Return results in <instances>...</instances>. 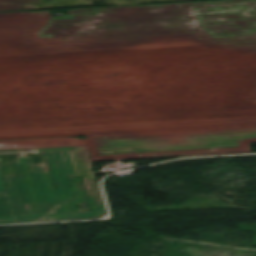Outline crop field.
<instances>
[{
    "mask_svg": "<svg viewBox=\"0 0 256 256\" xmlns=\"http://www.w3.org/2000/svg\"><path fill=\"white\" fill-rule=\"evenodd\" d=\"M31 151L33 156L19 158L36 215L33 213L19 161H0L14 214L12 217L0 172V223L93 218L104 215L97 183L88 173L90 157L87 147ZM59 151L63 153L72 189L69 187ZM56 162H58L59 170ZM49 168L52 170L61 203L58 201ZM78 176L83 178L92 212L83 213L76 210L74 202L77 205H82L74 179ZM35 191L38 193L43 215L40 213ZM43 197L46 199L49 212L46 210Z\"/></svg>",
    "mask_w": 256,
    "mask_h": 256,
    "instance_id": "1",
    "label": "crop field"
},
{
    "mask_svg": "<svg viewBox=\"0 0 256 256\" xmlns=\"http://www.w3.org/2000/svg\"><path fill=\"white\" fill-rule=\"evenodd\" d=\"M65 146H80V145L43 141V140L0 142V150L50 148V147H65Z\"/></svg>",
    "mask_w": 256,
    "mask_h": 256,
    "instance_id": "2",
    "label": "crop field"
}]
</instances>
